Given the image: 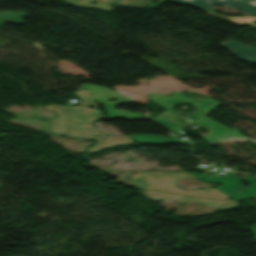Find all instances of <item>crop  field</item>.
<instances>
[{
	"label": "crop field",
	"mask_w": 256,
	"mask_h": 256,
	"mask_svg": "<svg viewBox=\"0 0 256 256\" xmlns=\"http://www.w3.org/2000/svg\"><path fill=\"white\" fill-rule=\"evenodd\" d=\"M170 94L174 95L175 97L168 98L166 96H160V95H156V94H153L150 97H148L151 101L158 102L159 104H161L164 108H166L168 110L167 112L161 114L162 116L166 117L167 119L184 127L180 123L173 120L174 118L178 117L179 115L172 110V104L185 102V103L192 104L198 110L196 113L190 115L188 118L190 120L208 128V129H210L209 136L203 137L204 140H206L210 143H216V142H220V141L227 140V139L234 138V137L246 138V137H244V136H242V135H240V134L203 116L206 113H208L209 111L220 106L221 105L220 103H218L212 99L194 100V99H190V98H184L177 92H172Z\"/></svg>",
	"instance_id": "crop-field-1"
},
{
	"label": "crop field",
	"mask_w": 256,
	"mask_h": 256,
	"mask_svg": "<svg viewBox=\"0 0 256 256\" xmlns=\"http://www.w3.org/2000/svg\"><path fill=\"white\" fill-rule=\"evenodd\" d=\"M82 89H88L89 92L91 93V95L93 96L94 100L105 104L108 119L128 118V119L142 120L141 114L130 113V112L121 111V110H114V105H116V104L132 103L133 102L130 99H129L130 101H127L128 98H126L122 94H120L116 91L108 90V89L101 88V87L86 85V84H83L79 90H82ZM111 99H117L120 101L112 103V102L108 101ZM109 107H112V108H109Z\"/></svg>",
	"instance_id": "crop-field-2"
},
{
	"label": "crop field",
	"mask_w": 256,
	"mask_h": 256,
	"mask_svg": "<svg viewBox=\"0 0 256 256\" xmlns=\"http://www.w3.org/2000/svg\"><path fill=\"white\" fill-rule=\"evenodd\" d=\"M191 174L205 183H210V182L222 183L221 186L216 189L236 201L242 198H246V199L252 198L247 194L256 189V181H254L255 178L250 176H247L245 180L252 182V185L249 188H243L246 190L243 192H240L242 187H241L239 178H235V177L211 178V177H207V176H203L195 173H191ZM237 189H239V191H236Z\"/></svg>",
	"instance_id": "crop-field-3"
},
{
	"label": "crop field",
	"mask_w": 256,
	"mask_h": 256,
	"mask_svg": "<svg viewBox=\"0 0 256 256\" xmlns=\"http://www.w3.org/2000/svg\"><path fill=\"white\" fill-rule=\"evenodd\" d=\"M213 11L212 5L238 9L247 13L246 16H256V0H169Z\"/></svg>",
	"instance_id": "crop-field-4"
},
{
	"label": "crop field",
	"mask_w": 256,
	"mask_h": 256,
	"mask_svg": "<svg viewBox=\"0 0 256 256\" xmlns=\"http://www.w3.org/2000/svg\"><path fill=\"white\" fill-rule=\"evenodd\" d=\"M221 46L230 50L239 59L256 64V49L244 47L235 41L224 43Z\"/></svg>",
	"instance_id": "crop-field-5"
},
{
	"label": "crop field",
	"mask_w": 256,
	"mask_h": 256,
	"mask_svg": "<svg viewBox=\"0 0 256 256\" xmlns=\"http://www.w3.org/2000/svg\"><path fill=\"white\" fill-rule=\"evenodd\" d=\"M138 144H162V143H189L179 138H164L158 135H130L127 136Z\"/></svg>",
	"instance_id": "crop-field-6"
},
{
	"label": "crop field",
	"mask_w": 256,
	"mask_h": 256,
	"mask_svg": "<svg viewBox=\"0 0 256 256\" xmlns=\"http://www.w3.org/2000/svg\"><path fill=\"white\" fill-rule=\"evenodd\" d=\"M204 12L209 14V15H212V16L223 18V19L228 20L231 23L237 24L239 26H243L245 24H250V25H253V26L256 27V25L253 24V22H252V21L256 20V18H224V17H221L219 15H216V14H213V13H210V12H206V11H204Z\"/></svg>",
	"instance_id": "crop-field-7"
},
{
	"label": "crop field",
	"mask_w": 256,
	"mask_h": 256,
	"mask_svg": "<svg viewBox=\"0 0 256 256\" xmlns=\"http://www.w3.org/2000/svg\"><path fill=\"white\" fill-rule=\"evenodd\" d=\"M152 120H153V121H156V122H161V123H163L164 125H166V126H168L169 128H171L172 130H174V131H176V132H178V133L184 135V133L180 131V130H182V128L176 126L175 124H173V123L167 121L166 119H164V118H162V117H160V116H158V117H156V118H154V119H152Z\"/></svg>",
	"instance_id": "crop-field-8"
},
{
	"label": "crop field",
	"mask_w": 256,
	"mask_h": 256,
	"mask_svg": "<svg viewBox=\"0 0 256 256\" xmlns=\"http://www.w3.org/2000/svg\"><path fill=\"white\" fill-rule=\"evenodd\" d=\"M163 3H165V2L157 1V2L152 6V7H151V6H149L147 9L154 10V9H156V8L160 7Z\"/></svg>",
	"instance_id": "crop-field-9"
},
{
	"label": "crop field",
	"mask_w": 256,
	"mask_h": 256,
	"mask_svg": "<svg viewBox=\"0 0 256 256\" xmlns=\"http://www.w3.org/2000/svg\"><path fill=\"white\" fill-rule=\"evenodd\" d=\"M249 195L255 196L256 195V190L254 192L250 193Z\"/></svg>",
	"instance_id": "crop-field-10"
}]
</instances>
